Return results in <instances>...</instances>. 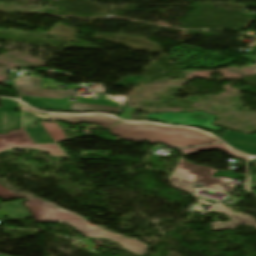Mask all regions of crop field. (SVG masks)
Wrapping results in <instances>:
<instances>
[{
	"label": "crop field",
	"mask_w": 256,
	"mask_h": 256,
	"mask_svg": "<svg viewBox=\"0 0 256 256\" xmlns=\"http://www.w3.org/2000/svg\"><path fill=\"white\" fill-rule=\"evenodd\" d=\"M12 147L43 149L50 152L51 155H64L57 144L35 145L30 136L24 130L13 131L5 136L0 135V152L8 150ZM0 196L4 198L24 197L30 199V201L25 205L32 209L38 222H55L59 220H64L74 226L77 230H79L87 237H103L112 239L120 243L125 249L133 251L140 255H143L148 249L147 247L140 245L130 239L113 236L107 233L102 228L91 229L86 226L82 219L77 217L76 215L62 211L52 205L45 204L44 201L37 198L15 194L3 188L2 186H0Z\"/></svg>",
	"instance_id": "obj_1"
},
{
	"label": "crop field",
	"mask_w": 256,
	"mask_h": 256,
	"mask_svg": "<svg viewBox=\"0 0 256 256\" xmlns=\"http://www.w3.org/2000/svg\"><path fill=\"white\" fill-rule=\"evenodd\" d=\"M108 129L127 140H148L160 142L176 148L218 142L217 139L201 132L181 127H167L151 123L131 124L122 122Z\"/></svg>",
	"instance_id": "obj_2"
},
{
	"label": "crop field",
	"mask_w": 256,
	"mask_h": 256,
	"mask_svg": "<svg viewBox=\"0 0 256 256\" xmlns=\"http://www.w3.org/2000/svg\"><path fill=\"white\" fill-rule=\"evenodd\" d=\"M25 79V81H22ZM17 86L22 95L55 98L61 99L63 97L73 96L74 92L47 90L41 89V78H17ZM83 104H71L69 111L72 112H86V111H101L113 113L120 108V104L113 98L97 94L95 98L76 97Z\"/></svg>",
	"instance_id": "obj_3"
},
{
	"label": "crop field",
	"mask_w": 256,
	"mask_h": 256,
	"mask_svg": "<svg viewBox=\"0 0 256 256\" xmlns=\"http://www.w3.org/2000/svg\"><path fill=\"white\" fill-rule=\"evenodd\" d=\"M215 170L206 166H196L180 159L173 174L169 178L172 185L194 194L191 190L195 183L203 184V187L223 192H231L234 188L227 186L232 180L223 178H214L212 174Z\"/></svg>",
	"instance_id": "obj_4"
},
{
	"label": "crop field",
	"mask_w": 256,
	"mask_h": 256,
	"mask_svg": "<svg viewBox=\"0 0 256 256\" xmlns=\"http://www.w3.org/2000/svg\"><path fill=\"white\" fill-rule=\"evenodd\" d=\"M216 116L209 115L205 112H193V113H163V114H151L146 120H155L166 123H173L178 125L196 126L203 129L220 131L219 127L213 126Z\"/></svg>",
	"instance_id": "obj_5"
},
{
	"label": "crop field",
	"mask_w": 256,
	"mask_h": 256,
	"mask_svg": "<svg viewBox=\"0 0 256 256\" xmlns=\"http://www.w3.org/2000/svg\"><path fill=\"white\" fill-rule=\"evenodd\" d=\"M222 140L228 142L235 149L256 156V136L254 135H241L238 132L227 130Z\"/></svg>",
	"instance_id": "obj_6"
},
{
	"label": "crop field",
	"mask_w": 256,
	"mask_h": 256,
	"mask_svg": "<svg viewBox=\"0 0 256 256\" xmlns=\"http://www.w3.org/2000/svg\"><path fill=\"white\" fill-rule=\"evenodd\" d=\"M14 109L20 108L13 104L11 100L2 99V109H0V133L21 126L22 114H13L12 111Z\"/></svg>",
	"instance_id": "obj_7"
},
{
	"label": "crop field",
	"mask_w": 256,
	"mask_h": 256,
	"mask_svg": "<svg viewBox=\"0 0 256 256\" xmlns=\"http://www.w3.org/2000/svg\"><path fill=\"white\" fill-rule=\"evenodd\" d=\"M215 212H222L224 214H227L231 218V222L229 223H222V222H215L211 225L213 226L212 230H224V229H232L235 227V225L240 223H247L254 227H256V221L255 219L241 213V212H231L228 211V207L224 204H219L214 209Z\"/></svg>",
	"instance_id": "obj_8"
},
{
	"label": "crop field",
	"mask_w": 256,
	"mask_h": 256,
	"mask_svg": "<svg viewBox=\"0 0 256 256\" xmlns=\"http://www.w3.org/2000/svg\"><path fill=\"white\" fill-rule=\"evenodd\" d=\"M45 118L46 120H61V121H67L69 123H78L81 121L98 123L102 125L103 128H106L119 121L109 116H100V115H51Z\"/></svg>",
	"instance_id": "obj_9"
},
{
	"label": "crop field",
	"mask_w": 256,
	"mask_h": 256,
	"mask_svg": "<svg viewBox=\"0 0 256 256\" xmlns=\"http://www.w3.org/2000/svg\"><path fill=\"white\" fill-rule=\"evenodd\" d=\"M21 202L1 204L0 218L7 217L11 220L30 218L31 215L28 210L21 205Z\"/></svg>",
	"instance_id": "obj_10"
},
{
	"label": "crop field",
	"mask_w": 256,
	"mask_h": 256,
	"mask_svg": "<svg viewBox=\"0 0 256 256\" xmlns=\"http://www.w3.org/2000/svg\"><path fill=\"white\" fill-rule=\"evenodd\" d=\"M215 148H219L227 153H229L230 155L234 156V157H238L240 159H243L245 161H247L246 157L243 156L241 153L234 151L228 147H226L223 144H219V145H212V146H205V147H198V148H191V149H184L181 150L183 152V155H189V154H195L198 151H202V150H208V149H215Z\"/></svg>",
	"instance_id": "obj_11"
},
{
	"label": "crop field",
	"mask_w": 256,
	"mask_h": 256,
	"mask_svg": "<svg viewBox=\"0 0 256 256\" xmlns=\"http://www.w3.org/2000/svg\"><path fill=\"white\" fill-rule=\"evenodd\" d=\"M48 134L53 138L55 142H61L63 140H70L57 123H45L41 122Z\"/></svg>",
	"instance_id": "obj_12"
},
{
	"label": "crop field",
	"mask_w": 256,
	"mask_h": 256,
	"mask_svg": "<svg viewBox=\"0 0 256 256\" xmlns=\"http://www.w3.org/2000/svg\"><path fill=\"white\" fill-rule=\"evenodd\" d=\"M38 127L35 129L24 128L30 134L35 143H46V142H54L51 137L44 130L42 125L37 123Z\"/></svg>",
	"instance_id": "obj_13"
},
{
	"label": "crop field",
	"mask_w": 256,
	"mask_h": 256,
	"mask_svg": "<svg viewBox=\"0 0 256 256\" xmlns=\"http://www.w3.org/2000/svg\"><path fill=\"white\" fill-rule=\"evenodd\" d=\"M37 121L36 118L29 114V113H24V126H34L33 122Z\"/></svg>",
	"instance_id": "obj_14"
},
{
	"label": "crop field",
	"mask_w": 256,
	"mask_h": 256,
	"mask_svg": "<svg viewBox=\"0 0 256 256\" xmlns=\"http://www.w3.org/2000/svg\"><path fill=\"white\" fill-rule=\"evenodd\" d=\"M136 110L132 109V108H126L125 112L123 113L122 117L123 119L126 120H131L132 116L134 115Z\"/></svg>",
	"instance_id": "obj_15"
},
{
	"label": "crop field",
	"mask_w": 256,
	"mask_h": 256,
	"mask_svg": "<svg viewBox=\"0 0 256 256\" xmlns=\"http://www.w3.org/2000/svg\"><path fill=\"white\" fill-rule=\"evenodd\" d=\"M217 175H220V176H229V177H239V176L246 177V175H243V174L229 173V172H225V171H222V172H220V173L217 174Z\"/></svg>",
	"instance_id": "obj_16"
},
{
	"label": "crop field",
	"mask_w": 256,
	"mask_h": 256,
	"mask_svg": "<svg viewBox=\"0 0 256 256\" xmlns=\"http://www.w3.org/2000/svg\"><path fill=\"white\" fill-rule=\"evenodd\" d=\"M92 86L95 87V89H92V91H97V92H101V93H105V89L102 87L103 85L102 84H90Z\"/></svg>",
	"instance_id": "obj_17"
},
{
	"label": "crop field",
	"mask_w": 256,
	"mask_h": 256,
	"mask_svg": "<svg viewBox=\"0 0 256 256\" xmlns=\"http://www.w3.org/2000/svg\"><path fill=\"white\" fill-rule=\"evenodd\" d=\"M10 81H15V79H13V75H17V73H10Z\"/></svg>",
	"instance_id": "obj_18"
},
{
	"label": "crop field",
	"mask_w": 256,
	"mask_h": 256,
	"mask_svg": "<svg viewBox=\"0 0 256 256\" xmlns=\"http://www.w3.org/2000/svg\"><path fill=\"white\" fill-rule=\"evenodd\" d=\"M250 188L251 189L256 188V184H254V183L250 184Z\"/></svg>",
	"instance_id": "obj_19"
},
{
	"label": "crop field",
	"mask_w": 256,
	"mask_h": 256,
	"mask_svg": "<svg viewBox=\"0 0 256 256\" xmlns=\"http://www.w3.org/2000/svg\"><path fill=\"white\" fill-rule=\"evenodd\" d=\"M10 87L15 88L14 83H10Z\"/></svg>",
	"instance_id": "obj_20"
},
{
	"label": "crop field",
	"mask_w": 256,
	"mask_h": 256,
	"mask_svg": "<svg viewBox=\"0 0 256 256\" xmlns=\"http://www.w3.org/2000/svg\"><path fill=\"white\" fill-rule=\"evenodd\" d=\"M251 179H252L253 181H256V177H251Z\"/></svg>",
	"instance_id": "obj_21"
}]
</instances>
